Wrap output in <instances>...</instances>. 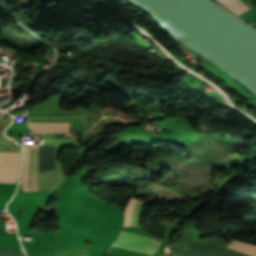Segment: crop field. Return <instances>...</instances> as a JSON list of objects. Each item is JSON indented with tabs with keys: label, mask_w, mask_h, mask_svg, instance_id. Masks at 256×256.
I'll list each match as a JSON object with an SVG mask.
<instances>
[{
	"label": "crop field",
	"mask_w": 256,
	"mask_h": 256,
	"mask_svg": "<svg viewBox=\"0 0 256 256\" xmlns=\"http://www.w3.org/2000/svg\"><path fill=\"white\" fill-rule=\"evenodd\" d=\"M219 1L239 16L244 14L248 10L252 9L241 0H219Z\"/></svg>",
	"instance_id": "obj_6"
},
{
	"label": "crop field",
	"mask_w": 256,
	"mask_h": 256,
	"mask_svg": "<svg viewBox=\"0 0 256 256\" xmlns=\"http://www.w3.org/2000/svg\"><path fill=\"white\" fill-rule=\"evenodd\" d=\"M19 154L20 153H15L14 167H13V174H12L14 153H5L0 182L9 183L11 174H12L10 183H15L16 176H17V170H18V164H19ZM3 155H4V153H0V173H1Z\"/></svg>",
	"instance_id": "obj_3"
},
{
	"label": "crop field",
	"mask_w": 256,
	"mask_h": 256,
	"mask_svg": "<svg viewBox=\"0 0 256 256\" xmlns=\"http://www.w3.org/2000/svg\"><path fill=\"white\" fill-rule=\"evenodd\" d=\"M144 202L132 198L127 205L123 226H138L139 215L142 211Z\"/></svg>",
	"instance_id": "obj_4"
},
{
	"label": "crop field",
	"mask_w": 256,
	"mask_h": 256,
	"mask_svg": "<svg viewBox=\"0 0 256 256\" xmlns=\"http://www.w3.org/2000/svg\"><path fill=\"white\" fill-rule=\"evenodd\" d=\"M32 132H62L69 131L70 123H28Z\"/></svg>",
	"instance_id": "obj_5"
},
{
	"label": "crop field",
	"mask_w": 256,
	"mask_h": 256,
	"mask_svg": "<svg viewBox=\"0 0 256 256\" xmlns=\"http://www.w3.org/2000/svg\"><path fill=\"white\" fill-rule=\"evenodd\" d=\"M159 244L155 239L121 231L112 246L152 255Z\"/></svg>",
	"instance_id": "obj_2"
},
{
	"label": "crop field",
	"mask_w": 256,
	"mask_h": 256,
	"mask_svg": "<svg viewBox=\"0 0 256 256\" xmlns=\"http://www.w3.org/2000/svg\"><path fill=\"white\" fill-rule=\"evenodd\" d=\"M225 248H228L230 250L239 252V253L247 255V256H256V246H252V245L234 241L233 243L226 246Z\"/></svg>",
	"instance_id": "obj_7"
},
{
	"label": "crop field",
	"mask_w": 256,
	"mask_h": 256,
	"mask_svg": "<svg viewBox=\"0 0 256 256\" xmlns=\"http://www.w3.org/2000/svg\"><path fill=\"white\" fill-rule=\"evenodd\" d=\"M29 149V147L25 148ZM40 146L30 147L25 150L24 173L22 179L23 191L38 190Z\"/></svg>",
	"instance_id": "obj_1"
}]
</instances>
